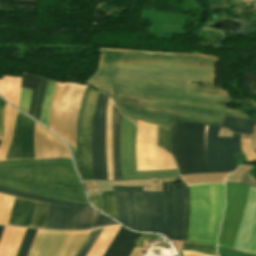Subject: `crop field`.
I'll use <instances>...</instances> for the list:
<instances>
[{
	"label": "crop field",
	"instance_id": "8a807250",
	"mask_svg": "<svg viewBox=\"0 0 256 256\" xmlns=\"http://www.w3.org/2000/svg\"><path fill=\"white\" fill-rule=\"evenodd\" d=\"M96 73L86 82L113 95L128 119L170 127V118L221 125L225 115L248 117L215 102H229L227 91L213 87L215 57L101 48ZM202 62V71L200 63ZM206 86L189 82H200ZM208 91L223 95L195 92ZM117 96L143 99L141 105L117 102Z\"/></svg>",
	"mask_w": 256,
	"mask_h": 256
},
{
	"label": "crop field",
	"instance_id": "ac0d7876",
	"mask_svg": "<svg viewBox=\"0 0 256 256\" xmlns=\"http://www.w3.org/2000/svg\"><path fill=\"white\" fill-rule=\"evenodd\" d=\"M98 92L87 85L78 116L76 148L78 169L82 180L91 179L90 121ZM107 98L106 94L99 92L93 110L91 122L92 179L106 180L105 109ZM112 104L113 101L109 97L106 109V158L107 179L109 180H114L111 139Z\"/></svg>",
	"mask_w": 256,
	"mask_h": 256
},
{
	"label": "crop field",
	"instance_id": "34b2d1b8",
	"mask_svg": "<svg viewBox=\"0 0 256 256\" xmlns=\"http://www.w3.org/2000/svg\"><path fill=\"white\" fill-rule=\"evenodd\" d=\"M8 172H15L28 176L34 180L50 181L54 183L65 184L69 186L81 187L78 179L72 169L71 160H55L44 162H21V163H5L0 164V177L25 181L30 184L42 185L45 187L78 190L77 188H69L51 183L34 182L22 176H16ZM0 186L43 195L50 198L84 203L87 204L82 190L78 192H61L45 188L34 187L21 182L0 179Z\"/></svg>",
	"mask_w": 256,
	"mask_h": 256
},
{
	"label": "crop field",
	"instance_id": "412701ff",
	"mask_svg": "<svg viewBox=\"0 0 256 256\" xmlns=\"http://www.w3.org/2000/svg\"><path fill=\"white\" fill-rule=\"evenodd\" d=\"M188 241L216 244L224 208V185L189 186Z\"/></svg>",
	"mask_w": 256,
	"mask_h": 256
},
{
	"label": "crop field",
	"instance_id": "f4fd0767",
	"mask_svg": "<svg viewBox=\"0 0 256 256\" xmlns=\"http://www.w3.org/2000/svg\"><path fill=\"white\" fill-rule=\"evenodd\" d=\"M256 119L226 116L221 127L233 132L252 134ZM220 127H204V142L209 173L234 171L236 169L233 153L242 152L240 134L233 133L232 138L217 137Z\"/></svg>",
	"mask_w": 256,
	"mask_h": 256
},
{
	"label": "crop field",
	"instance_id": "dd49c442",
	"mask_svg": "<svg viewBox=\"0 0 256 256\" xmlns=\"http://www.w3.org/2000/svg\"><path fill=\"white\" fill-rule=\"evenodd\" d=\"M148 214V231L182 240L185 213L184 187L169 192H143Z\"/></svg>",
	"mask_w": 256,
	"mask_h": 256
},
{
	"label": "crop field",
	"instance_id": "e52e79f7",
	"mask_svg": "<svg viewBox=\"0 0 256 256\" xmlns=\"http://www.w3.org/2000/svg\"><path fill=\"white\" fill-rule=\"evenodd\" d=\"M204 124L172 120L171 141L180 175L208 173L203 143Z\"/></svg>",
	"mask_w": 256,
	"mask_h": 256
},
{
	"label": "crop field",
	"instance_id": "d8731c3e",
	"mask_svg": "<svg viewBox=\"0 0 256 256\" xmlns=\"http://www.w3.org/2000/svg\"><path fill=\"white\" fill-rule=\"evenodd\" d=\"M85 86L67 81L57 82L53 92L49 129L70 146H75L77 116Z\"/></svg>",
	"mask_w": 256,
	"mask_h": 256
},
{
	"label": "crop field",
	"instance_id": "5a996713",
	"mask_svg": "<svg viewBox=\"0 0 256 256\" xmlns=\"http://www.w3.org/2000/svg\"><path fill=\"white\" fill-rule=\"evenodd\" d=\"M0 192L23 197L35 201L51 204L66 205L71 207L49 206L44 228L63 230H86L90 229L92 208L86 205L74 204L64 201L48 199L32 194H27L7 188L0 187Z\"/></svg>",
	"mask_w": 256,
	"mask_h": 256
},
{
	"label": "crop field",
	"instance_id": "3316defc",
	"mask_svg": "<svg viewBox=\"0 0 256 256\" xmlns=\"http://www.w3.org/2000/svg\"><path fill=\"white\" fill-rule=\"evenodd\" d=\"M89 232L38 230L28 256H75Z\"/></svg>",
	"mask_w": 256,
	"mask_h": 256
},
{
	"label": "crop field",
	"instance_id": "28ad6ade",
	"mask_svg": "<svg viewBox=\"0 0 256 256\" xmlns=\"http://www.w3.org/2000/svg\"><path fill=\"white\" fill-rule=\"evenodd\" d=\"M116 190V220L135 231H147L142 187H112Z\"/></svg>",
	"mask_w": 256,
	"mask_h": 256
},
{
	"label": "crop field",
	"instance_id": "d1516ede",
	"mask_svg": "<svg viewBox=\"0 0 256 256\" xmlns=\"http://www.w3.org/2000/svg\"><path fill=\"white\" fill-rule=\"evenodd\" d=\"M136 127L121 116L120 128V159L121 172L136 171L135 156ZM123 180L145 178H173L179 177L177 170L147 171L122 173Z\"/></svg>",
	"mask_w": 256,
	"mask_h": 256
},
{
	"label": "crop field",
	"instance_id": "22f410ed",
	"mask_svg": "<svg viewBox=\"0 0 256 256\" xmlns=\"http://www.w3.org/2000/svg\"><path fill=\"white\" fill-rule=\"evenodd\" d=\"M249 187L226 183V208L218 244L234 247Z\"/></svg>",
	"mask_w": 256,
	"mask_h": 256
},
{
	"label": "crop field",
	"instance_id": "cbeb9de0",
	"mask_svg": "<svg viewBox=\"0 0 256 256\" xmlns=\"http://www.w3.org/2000/svg\"><path fill=\"white\" fill-rule=\"evenodd\" d=\"M36 122L17 112L5 161L35 159L34 131Z\"/></svg>",
	"mask_w": 256,
	"mask_h": 256
},
{
	"label": "crop field",
	"instance_id": "5142ce71",
	"mask_svg": "<svg viewBox=\"0 0 256 256\" xmlns=\"http://www.w3.org/2000/svg\"><path fill=\"white\" fill-rule=\"evenodd\" d=\"M36 159L70 158L68 147L39 124L35 132Z\"/></svg>",
	"mask_w": 256,
	"mask_h": 256
},
{
	"label": "crop field",
	"instance_id": "d9b57169",
	"mask_svg": "<svg viewBox=\"0 0 256 256\" xmlns=\"http://www.w3.org/2000/svg\"><path fill=\"white\" fill-rule=\"evenodd\" d=\"M35 204V201L16 197L7 225L29 227Z\"/></svg>",
	"mask_w": 256,
	"mask_h": 256
},
{
	"label": "crop field",
	"instance_id": "733c2abd",
	"mask_svg": "<svg viewBox=\"0 0 256 256\" xmlns=\"http://www.w3.org/2000/svg\"><path fill=\"white\" fill-rule=\"evenodd\" d=\"M121 227L103 256H128L133 249L134 240L141 234L129 232Z\"/></svg>",
	"mask_w": 256,
	"mask_h": 256
},
{
	"label": "crop field",
	"instance_id": "4a817a6b",
	"mask_svg": "<svg viewBox=\"0 0 256 256\" xmlns=\"http://www.w3.org/2000/svg\"><path fill=\"white\" fill-rule=\"evenodd\" d=\"M21 78L3 76L0 80V94L12 105H18Z\"/></svg>",
	"mask_w": 256,
	"mask_h": 256
},
{
	"label": "crop field",
	"instance_id": "bc2a9ffb",
	"mask_svg": "<svg viewBox=\"0 0 256 256\" xmlns=\"http://www.w3.org/2000/svg\"><path fill=\"white\" fill-rule=\"evenodd\" d=\"M17 110L12 108L7 103L5 104L4 108V134L2 141L0 143V161L5 160V156L7 153V149L9 146L11 133H12V127L14 122L15 113Z\"/></svg>",
	"mask_w": 256,
	"mask_h": 256
},
{
	"label": "crop field",
	"instance_id": "214f88e0",
	"mask_svg": "<svg viewBox=\"0 0 256 256\" xmlns=\"http://www.w3.org/2000/svg\"><path fill=\"white\" fill-rule=\"evenodd\" d=\"M120 112L114 104L113 108V162L115 180H122L119 163V123Z\"/></svg>",
	"mask_w": 256,
	"mask_h": 256
},
{
	"label": "crop field",
	"instance_id": "92a150f3",
	"mask_svg": "<svg viewBox=\"0 0 256 256\" xmlns=\"http://www.w3.org/2000/svg\"><path fill=\"white\" fill-rule=\"evenodd\" d=\"M40 78L41 77H39V76L30 75V74H26V73H24L22 76L21 87L33 89L31 104H30V108H29V112H28V115H30V116L33 115L37 87H38Z\"/></svg>",
	"mask_w": 256,
	"mask_h": 256
},
{
	"label": "crop field",
	"instance_id": "dafd665d",
	"mask_svg": "<svg viewBox=\"0 0 256 256\" xmlns=\"http://www.w3.org/2000/svg\"><path fill=\"white\" fill-rule=\"evenodd\" d=\"M55 81L49 80V84L47 87L46 95H45V100L42 108V113L39 122L48 127L49 124V113H50V100L52 96V91L55 86Z\"/></svg>",
	"mask_w": 256,
	"mask_h": 256
},
{
	"label": "crop field",
	"instance_id": "00972430",
	"mask_svg": "<svg viewBox=\"0 0 256 256\" xmlns=\"http://www.w3.org/2000/svg\"><path fill=\"white\" fill-rule=\"evenodd\" d=\"M17 228L5 227L0 240V256H6L15 238Z\"/></svg>",
	"mask_w": 256,
	"mask_h": 256
},
{
	"label": "crop field",
	"instance_id": "a9b5d70f",
	"mask_svg": "<svg viewBox=\"0 0 256 256\" xmlns=\"http://www.w3.org/2000/svg\"><path fill=\"white\" fill-rule=\"evenodd\" d=\"M13 196L0 193V224L6 225L13 202Z\"/></svg>",
	"mask_w": 256,
	"mask_h": 256
},
{
	"label": "crop field",
	"instance_id": "4177f3b9",
	"mask_svg": "<svg viewBox=\"0 0 256 256\" xmlns=\"http://www.w3.org/2000/svg\"><path fill=\"white\" fill-rule=\"evenodd\" d=\"M49 204L37 202L31 227L43 228Z\"/></svg>",
	"mask_w": 256,
	"mask_h": 256
},
{
	"label": "crop field",
	"instance_id": "730fd06b",
	"mask_svg": "<svg viewBox=\"0 0 256 256\" xmlns=\"http://www.w3.org/2000/svg\"><path fill=\"white\" fill-rule=\"evenodd\" d=\"M102 209L115 219V191L102 193Z\"/></svg>",
	"mask_w": 256,
	"mask_h": 256
},
{
	"label": "crop field",
	"instance_id": "eef30255",
	"mask_svg": "<svg viewBox=\"0 0 256 256\" xmlns=\"http://www.w3.org/2000/svg\"><path fill=\"white\" fill-rule=\"evenodd\" d=\"M157 146L166 150L172 155L171 141H170V129L159 127L157 129Z\"/></svg>",
	"mask_w": 256,
	"mask_h": 256
},
{
	"label": "crop field",
	"instance_id": "ae1a2a85",
	"mask_svg": "<svg viewBox=\"0 0 256 256\" xmlns=\"http://www.w3.org/2000/svg\"><path fill=\"white\" fill-rule=\"evenodd\" d=\"M47 78H41V81L39 83L38 93H37V99H36V105L34 110L33 118L36 120H39L40 112H41V105L43 101V97L45 94L46 86H47Z\"/></svg>",
	"mask_w": 256,
	"mask_h": 256
},
{
	"label": "crop field",
	"instance_id": "d3111659",
	"mask_svg": "<svg viewBox=\"0 0 256 256\" xmlns=\"http://www.w3.org/2000/svg\"><path fill=\"white\" fill-rule=\"evenodd\" d=\"M102 229L103 227L91 230L76 256H86L87 252L93 245L94 241L96 240Z\"/></svg>",
	"mask_w": 256,
	"mask_h": 256
},
{
	"label": "crop field",
	"instance_id": "750c4746",
	"mask_svg": "<svg viewBox=\"0 0 256 256\" xmlns=\"http://www.w3.org/2000/svg\"><path fill=\"white\" fill-rule=\"evenodd\" d=\"M37 230L27 229L17 256H27Z\"/></svg>",
	"mask_w": 256,
	"mask_h": 256
},
{
	"label": "crop field",
	"instance_id": "bd1437ed",
	"mask_svg": "<svg viewBox=\"0 0 256 256\" xmlns=\"http://www.w3.org/2000/svg\"><path fill=\"white\" fill-rule=\"evenodd\" d=\"M31 93H32V90L21 88L18 109L22 110L25 113L28 112Z\"/></svg>",
	"mask_w": 256,
	"mask_h": 256
},
{
	"label": "crop field",
	"instance_id": "1d83c4d3",
	"mask_svg": "<svg viewBox=\"0 0 256 256\" xmlns=\"http://www.w3.org/2000/svg\"><path fill=\"white\" fill-rule=\"evenodd\" d=\"M245 252L256 253V216H255V220H254V225H253V229H252L250 242H249Z\"/></svg>",
	"mask_w": 256,
	"mask_h": 256
},
{
	"label": "crop field",
	"instance_id": "120bbe31",
	"mask_svg": "<svg viewBox=\"0 0 256 256\" xmlns=\"http://www.w3.org/2000/svg\"><path fill=\"white\" fill-rule=\"evenodd\" d=\"M185 196H186V214H185V222H184L183 240H187V231H188V213H189L188 186L185 187Z\"/></svg>",
	"mask_w": 256,
	"mask_h": 256
},
{
	"label": "crop field",
	"instance_id": "d32e631a",
	"mask_svg": "<svg viewBox=\"0 0 256 256\" xmlns=\"http://www.w3.org/2000/svg\"><path fill=\"white\" fill-rule=\"evenodd\" d=\"M89 200L91 204L98 210L102 211L101 209V195L89 196Z\"/></svg>",
	"mask_w": 256,
	"mask_h": 256
},
{
	"label": "crop field",
	"instance_id": "5866460e",
	"mask_svg": "<svg viewBox=\"0 0 256 256\" xmlns=\"http://www.w3.org/2000/svg\"><path fill=\"white\" fill-rule=\"evenodd\" d=\"M101 220H102V215L96 211L93 213V220H92V228L100 227L101 226Z\"/></svg>",
	"mask_w": 256,
	"mask_h": 256
},
{
	"label": "crop field",
	"instance_id": "028f5c9d",
	"mask_svg": "<svg viewBox=\"0 0 256 256\" xmlns=\"http://www.w3.org/2000/svg\"><path fill=\"white\" fill-rule=\"evenodd\" d=\"M240 181L256 186V179L249 172L242 176Z\"/></svg>",
	"mask_w": 256,
	"mask_h": 256
},
{
	"label": "crop field",
	"instance_id": "e1f06a70",
	"mask_svg": "<svg viewBox=\"0 0 256 256\" xmlns=\"http://www.w3.org/2000/svg\"><path fill=\"white\" fill-rule=\"evenodd\" d=\"M5 102L0 98V137H2V126H3V108Z\"/></svg>",
	"mask_w": 256,
	"mask_h": 256
},
{
	"label": "crop field",
	"instance_id": "0bd39190",
	"mask_svg": "<svg viewBox=\"0 0 256 256\" xmlns=\"http://www.w3.org/2000/svg\"><path fill=\"white\" fill-rule=\"evenodd\" d=\"M110 224H117V223L112 221L111 219L103 216L102 226L110 225Z\"/></svg>",
	"mask_w": 256,
	"mask_h": 256
},
{
	"label": "crop field",
	"instance_id": "b80d0937",
	"mask_svg": "<svg viewBox=\"0 0 256 256\" xmlns=\"http://www.w3.org/2000/svg\"><path fill=\"white\" fill-rule=\"evenodd\" d=\"M3 227L4 226H0V236H1V233H2V230H3Z\"/></svg>",
	"mask_w": 256,
	"mask_h": 256
},
{
	"label": "crop field",
	"instance_id": "c035e120",
	"mask_svg": "<svg viewBox=\"0 0 256 256\" xmlns=\"http://www.w3.org/2000/svg\"><path fill=\"white\" fill-rule=\"evenodd\" d=\"M233 184H237V183H233ZM240 185H247V184H240ZM247 186H250V185H247ZM252 187H254V186H252ZM256 188V187H255Z\"/></svg>",
	"mask_w": 256,
	"mask_h": 256
},
{
	"label": "crop field",
	"instance_id": "c21b1889",
	"mask_svg": "<svg viewBox=\"0 0 256 256\" xmlns=\"http://www.w3.org/2000/svg\"><path fill=\"white\" fill-rule=\"evenodd\" d=\"M220 256V255H219Z\"/></svg>",
	"mask_w": 256,
	"mask_h": 256
},
{
	"label": "crop field",
	"instance_id": "03da06ac",
	"mask_svg": "<svg viewBox=\"0 0 256 256\" xmlns=\"http://www.w3.org/2000/svg\"><path fill=\"white\" fill-rule=\"evenodd\" d=\"M1 139V138H0Z\"/></svg>",
	"mask_w": 256,
	"mask_h": 256
}]
</instances>
